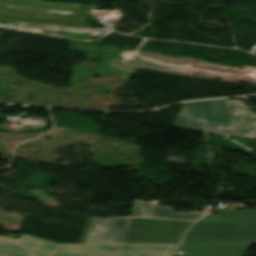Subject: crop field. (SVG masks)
Returning <instances> with one entry per match:
<instances>
[{
	"label": "crop field",
	"mask_w": 256,
	"mask_h": 256,
	"mask_svg": "<svg viewBox=\"0 0 256 256\" xmlns=\"http://www.w3.org/2000/svg\"><path fill=\"white\" fill-rule=\"evenodd\" d=\"M177 244H57L23 235L0 237V256H49L52 252H86L91 256H169Z\"/></svg>",
	"instance_id": "2"
},
{
	"label": "crop field",
	"mask_w": 256,
	"mask_h": 256,
	"mask_svg": "<svg viewBox=\"0 0 256 256\" xmlns=\"http://www.w3.org/2000/svg\"><path fill=\"white\" fill-rule=\"evenodd\" d=\"M227 212V214L225 213ZM212 215V217H210ZM201 221H245L256 222V210L235 211L231 209H220V216L209 214L202 218Z\"/></svg>",
	"instance_id": "8"
},
{
	"label": "crop field",
	"mask_w": 256,
	"mask_h": 256,
	"mask_svg": "<svg viewBox=\"0 0 256 256\" xmlns=\"http://www.w3.org/2000/svg\"><path fill=\"white\" fill-rule=\"evenodd\" d=\"M174 127H182V128L204 131V123L202 120L185 117L181 115L178 116L174 124Z\"/></svg>",
	"instance_id": "10"
},
{
	"label": "crop field",
	"mask_w": 256,
	"mask_h": 256,
	"mask_svg": "<svg viewBox=\"0 0 256 256\" xmlns=\"http://www.w3.org/2000/svg\"><path fill=\"white\" fill-rule=\"evenodd\" d=\"M207 212L173 213L172 208L157 207V201L149 203L135 200L132 217H155L197 220Z\"/></svg>",
	"instance_id": "7"
},
{
	"label": "crop field",
	"mask_w": 256,
	"mask_h": 256,
	"mask_svg": "<svg viewBox=\"0 0 256 256\" xmlns=\"http://www.w3.org/2000/svg\"><path fill=\"white\" fill-rule=\"evenodd\" d=\"M182 243H256V223L197 221Z\"/></svg>",
	"instance_id": "4"
},
{
	"label": "crop field",
	"mask_w": 256,
	"mask_h": 256,
	"mask_svg": "<svg viewBox=\"0 0 256 256\" xmlns=\"http://www.w3.org/2000/svg\"><path fill=\"white\" fill-rule=\"evenodd\" d=\"M250 244H193L180 245L172 256H244ZM182 251L183 255H178Z\"/></svg>",
	"instance_id": "6"
},
{
	"label": "crop field",
	"mask_w": 256,
	"mask_h": 256,
	"mask_svg": "<svg viewBox=\"0 0 256 256\" xmlns=\"http://www.w3.org/2000/svg\"><path fill=\"white\" fill-rule=\"evenodd\" d=\"M4 9H5V7H0V15L3 12Z\"/></svg>",
	"instance_id": "13"
},
{
	"label": "crop field",
	"mask_w": 256,
	"mask_h": 256,
	"mask_svg": "<svg viewBox=\"0 0 256 256\" xmlns=\"http://www.w3.org/2000/svg\"><path fill=\"white\" fill-rule=\"evenodd\" d=\"M192 223L122 217H88L79 242L179 243L184 229H187Z\"/></svg>",
	"instance_id": "1"
},
{
	"label": "crop field",
	"mask_w": 256,
	"mask_h": 256,
	"mask_svg": "<svg viewBox=\"0 0 256 256\" xmlns=\"http://www.w3.org/2000/svg\"><path fill=\"white\" fill-rule=\"evenodd\" d=\"M9 0H0V5H7Z\"/></svg>",
	"instance_id": "12"
},
{
	"label": "crop field",
	"mask_w": 256,
	"mask_h": 256,
	"mask_svg": "<svg viewBox=\"0 0 256 256\" xmlns=\"http://www.w3.org/2000/svg\"><path fill=\"white\" fill-rule=\"evenodd\" d=\"M182 115L206 120V131L256 139V118L240 100L189 102Z\"/></svg>",
	"instance_id": "3"
},
{
	"label": "crop field",
	"mask_w": 256,
	"mask_h": 256,
	"mask_svg": "<svg viewBox=\"0 0 256 256\" xmlns=\"http://www.w3.org/2000/svg\"><path fill=\"white\" fill-rule=\"evenodd\" d=\"M1 21L87 26L80 14L6 7Z\"/></svg>",
	"instance_id": "5"
},
{
	"label": "crop field",
	"mask_w": 256,
	"mask_h": 256,
	"mask_svg": "<svg viewBox=\"0 0 256 256\" xmlns=\"http://www.w3.org/2000/svg\"><path fill=\"white\" fill-rule=\"evenodd\" d=\"M8 5L80 11V5L48 3L41 0H10Z\"/></svg>",
	"instance_id": "9"
},
{
	"label": "crop field",
	"mask_w": 256,
	"mask_h": 256,
	"mask_svg": "<svg viewBox=\"0 0 256 256\" xmlns=\"http://www.w3.org/2000/svg\"><path fill=\"white\" fill-rule=\"evenodd\" d=\"M50 256H89L85 253H53Z\"/></svg>",
	"instance_id": "11"
}]
</instances>
